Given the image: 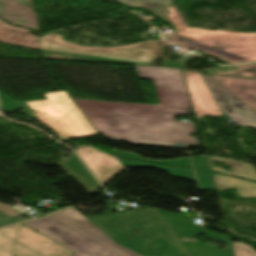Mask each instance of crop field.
<instances>
[{
  "instance_id": "obj_1",
  "label": "crop field",
  "mask_w": 256,
  "mask_h": 256,
  "mask_svg": "<svg viewBox=\"0 0 256 256\" xmlns=\"http://www.w3.org/2000/svg\"><path fill=\"white\" fill-rule=\"evenodd\" d=\"M137 76L153 80L160 105L74 99L104 137L136 144L175 147L197 145L193 125L174 122L173 115H189V95L182 71L135 66Z\"/></svg>"
},
{
  "instance_id": "obj_2",
  "label": "crop field",
  "mask_w": 256,
  "mask_h": 256,
  "mask_svg": "<svg viewBox=\"0 0 256 256\" xmlns=\"http://www.w3.org/2000/svg\"><path fill=\"white\" fill-rule=\"evenodd\" d=\"M165 12L178 33L167 40L183 49L194 48L233 64L256 61V33L206 31L187 28L174 6L151 10Z\"/></svg>"
},
{
  "instance_id": "obj_3",
  "label": "crop field",
  "mask_w": 256,
  "mask_h": 256,
  "mask_svg": "<svg viewBox=\"0 0 256 256\" xmlns=\"http://www.w3.org/2000/svg\"><path fill=\"white\" fill-rule=\"evenodd\" d=\"M44 94L47 100L17 104L27 116L51 127L62 141L97 134L66 91Z\"/></svg>"
},
{
  "instance_id": "obj_4",
  "label": "crop field",
  "mask_w": 256,
  "mask_h": 256,
  "mask_svg": "<svg viewBox=\"0 0 256 256\" xmlns=\"http://www.w3.org/2000/svg\"><path fill=\"white\" fill-rule=\"evenodd\" d=\"M61 34H47L39 39L42 51L88 55L87 61L150 65L163 47L162 40L114 48L76 46L62 40Z\"/></svg>"
},
{
  "instance_id": "obj_5",
  "label": "crop field",
  "mask_w": 256,
  "mask_h": 256,
  "mask_svg": "<svg viewBox=\"0 0 256 256\" xmlns=\"http://www.w3.org/2000/svg\"><path fill=\"white\" fill-rule=\"evenodd\" d=\"M26 224L76 251L73 256H119L49 217Z\"/></svg>"
},
{
  "instance_id": "obj_6",
  "label": "crop field",
  "mask_w": 256,
  "mask_h": 256,
  "mask_svg": "<svg viewBox=\"0 0 256 256\" xmlns=\"http://www.w3.org/2000/svg\"><path fill=\"white\" fill-rule=\"evenodd\" d=\"M177 238L181 241L182 238H193L203 228L190 223V220L176 214L167 213L163 210H157ZM199 234V233H198ZM202 234L208 236L209 239L225 244L224 250L217 249L216 246L206 244H195V242H182L184 247L191 256H234L228 237L212 234L203 231Z\"/></svg>"
},
{
  "instance_id": "obj_7",
  "label": "crop field",
  "mask_w": 256,
  "mask_h": 256,
  "mask_svg": "<svg viewBox=\"0 0 256 256\" xmlns=\"http://www.w3.org/2000/svg\"><path fill=\"white\" fill-rule=\"evenodd\" d=\"M221 111L239 125L256 128V114L209 75H203Z\"/></svg>"
},
{
  "instance_id": "obj_8",
  "label": "crop field",
  "mask_w": 256,
  "mask_h": 256,
  "mask_svg": "<svg viewBox=\"0 0 256 256\" xmlns=\"http://www.w3.org/2000/svg\"><path fill=\"white\" fill-rule=\"evenodd\" d=\"M182 71L196 118L202 119V116H224L200 74Z\"/></svg>"
},
{
  "instance_id": "obj_9",
  "label": "crop field",
  "mask_w": 256,
  "mask_h": 256,
  "mask_svg": "<svg viewBox=\"0 0 256 256\" xmlns=\"http://www.w3.org/2000/svg\"><path fill=\"white\" fill-rule=\"evenodd\" d=\"M49 217L59 221L60 223L70 227L71 229L81 233L82 235L118 253L121 256H138L114 244L108 237H106L102 232H100L96 227H94L82 215L72 208Z\"/></svg>"
},
{
  "instance_id": "obj_10",
  "label": "crop field",
  "mask_w": 256,
  "mask_h": 256,
  "mask_svg": "<svg viewBox=\"0 0 256 256\" xmlns=\"http://www.w3.org/2000/svg\"><path fill=\"white\" fill-rule=\"evenodd\" d=\"M76 152L94 172L102 184L110 180L122 167L117 159L94 148L84 146Z\"/></svg>"
},
{
  "instance_id": "obj_11",
  "label": "crop field",
  "mask_w": 256,
  "mask_h": 256,
  "mask_svg": "<svg viewBox=\"0 0 256 256\" xmlns=\"http://www.w3.org/2000/svg\"><path fill=\"white\" fill-rule=\"evenodd\" d=\"M0 233L41 256L54 242L22 224L1 229Z\"/></svg>"
},
{
  "instance_id": "obj_12",
  "label": "crop field",
  "mask_w": 256,
  "mask_h": 256,
  "mask_svg": "<svg viewBox=\"0 0 256 256\" xmlns=\"http://www.w3.org/2000/svg\"><path fill=\"white\" fill-rule=\"evenodd\" d=\"M256 112V80L210 75Z\"/></svg>"
},
{
  "instance_id": "obj_13",
  "label": "crop field",
  "mask_w": 256,
  "mask_h": 256,
  "mask_svg": "<svg viewBox=\"0 0 256 256\" xmlns=\"http://www.w3.org/2000/svg\"><path fill=\"white\" fill-rule=\"evenodd\" d=\"M73 252L57 243L45 252L43 256H71ZM0 256H39L27 248L0 234Z\"/></svg>"
},
{
  "instance_id": "obj_14",
  "label": "crop field",
  "mask_w": 256,
  "mask_h": 256,
  "mask_svg": "<svg viewBox=\"0 0 256 256\" xmlns=\"http://www.w3.org/2000/svg\"><path fill=\"white\" fill-rule=\"evenodd\" d=\"M0 41L13 45L40 49L38 37L31 35L29 30L8 25L1 20Z\"/></svg>"
},
{
  "instance_id": "obj_15",
  "label": "crop field",
  "mask_w": 256,
  "mask_h": 256,
  "mask_svg": "<svg viewBox=\"0 0 256 256\" xmlns=\"http://www.w3.org/2000/svg\"><path fill=\"white\" fill-rule=\"evenodd\" d=\"M217 192H223L228 188H235L239 197L256 198V183L240 180L233 177L211 173Z\"/></svg>"
},
{
  "instance_id": "obj_16",
  "label": "crop field",
  "mask_w": 256,
  "mask_h": 256,
  "mask_svg": "<svg viewBox=\"0 0 256 256\" xmlns=\"http://www.w3.org/2000/svg\"><path fill=\"white\" fill-rule=\"evenodd\" d=\"M72 178L76 179L81 183L91 194L99 187V183L94 179V177L89 173L85 166L80 162V160L73 155L68 160L66 164L61 166Z\"/></svg>"
},
{
  "instance_id": "obj_17",
  "label": "crop field",
  "mask_w": 256,
  "mask_h": 256,
  "mask_svg": "<svg viewBox=\"0 0 256 256\" xmlns=\"http://www.w3.org/2000/svg\"><path fill=\"white\" fill-rule=\"evenodd\" d=\"M207 157L211 170L256 182V171L252 165L227 158L214 157L209 155H207ZM212 160L223 162L227 166L231 167L230 173L221 168L212 166Z\"/></svg>"
},
{
  "instance_id": "obj_18",
  "label": "crop field",
  "mask_w": 256,
  "mask_h": 256,
  "mask_svg": "<svg viewBox=\"0 0 256 256\" xmlns=\"http://www.w3.org/2000/svg\"><path fill=\"white\" fill-rule=\"evenodd\" d=\"M118 160L122 164V166H128V167H156V168L168 171L171 176L178 177V178H184V179H188V180H191V181H195L194 174H193L192 170L157 166V165H152V164L133 162V161H127V160H120V159H118ZM171 171H173V172H171Z\"/></svg>"
},
{
  "instance_id": "obj_19",
  "label": "crop field",
  "mask_w": 256,
  "mask_h": 256,
  "mask_svg": "<svg viewBox=\"0 0 256 256\" xmlns=\"http://www.w3.org/2000/svg\"><path fill=\"white\" fill-rule=\"evenodd\" d=\"M112 151H113L114 155H116L117 157H121V158H128V159L141 160V161H147V162L164 164V165L192 168L190 161H189V157L173 159V160H166V161H154V160L142 158V157H140L132 152H128V151H121V150H115V149H112Z\"/></svg>"
},
{
  "instance_id": "obj_20",
  "label": "crop field",
  "mask_w": 256,
  "mask_h": 256,
  "mask_svg": "<svg viewBox=\"0 0 256 256\" xmlns=\"http://www.w3.org/2000/svg\"><path fill=\"white\" fill-rule=\"evenodd\" d=\"M127 6H138L147 10L164 7L172 4V0H118Z\"/></svg>"
},
{
  "instance_id": "obj_21",
  "label": "crop field",
  "mask_w": 256,
  "mask_h": 256,
  "mask_svg": "<svg viewBox=\"0 0 256 256\" xmlns=\"http://www.w3.org/2000/svg\"><path fill=\"white\" fill-rule=\"evenodd\" d=\"M235 67L237 69L236 71L220 72V73H215V74L256 78V64L238 65Z\"/></svg>"
},
{
  "instance_id": "obj_22",
  "label": "crop field",
  "mask_w": 256,
  "mask_h": 256,
  "mask_svg": "<svg viewBox=\"0 0 256 256\" xmlns=\"http://www.w3.org/2000/svg\"><path fill=\"white\" fill-rule=\"evenodd\" d=\"M200 190L216 191L210 172L194 170Z\"/></svg>"
},
{
  "instance_id": "obj_23",
  "label": "crop field",
  "mask_w": 256,
  "mask_h": 256,
  "mask_svg": "<svg viewBox=\"0 0 256 256\" xmlns=\"http://www.w3.org/2000/svg\"><path fill=\"white\" fill-rule=\"evenodd\" d=\"M235 256H256V251L244 243H231Z\"/></svg>"
},
{
  "instance_id": "obj_24",
  "label": "crop field",
  "mask_w": 256,
  "mask_h": 256,
  "mask_svg": "<svg viewBox=\"0 0 256 256\" xmlns=\"http://www.w3.org/2000/svg\"><path fill=\"white\" fill-rule=\"evenodd\" d=\"M44 59H54V60H75V61H86L87 56H76V55H66L58 53L43 52Z\"/></svg>"
},
{
  "instance_id": "obj_25",
  "label": "crop field",
  "mask_w": 256,
  "mask_h": 256,
  "mask_svg": "<svg viewBox=\"0 0 256 256\" xmlns=\"http://www.w3.org/2000/svg\"><path fill=\"white\" fill-rule=\"evenodd\" d=\"M0 110L5 112H12L18 108H20L17 104H15L13 101H11L9 98H7L5 95H3L0 92Z\"/></svg>"
},
{
  "instance_id": "obj_26",
  "label": "crop field",
  "mask_w": 256,
  "mask_h": 256,
  "mask_svg": "<svg viewBox=\"0 0 256 256\" xmlns=\"http://www.w3.org/2000/svg\"><path fill=\"white\" fill-rule=\"evenodd\" d=\"M193 167L197 169L210 170L207 162L206 155L191 157ZM202 164V166H200Z\"/></svg>"
},
{
  "instance_id": "obj_27",
  "label": "crop field",
  "mask_w": 256,
  "mask_h": 256,
  "mask_svg": "<svg viewBox=\"0 0 256 256\" xmlns=\"http://www.w3.org/2000/svg\"><path fill=\"white\" fill-rule=\"evenodd\" d=\"M0 211L9 215V216H11V217L23 214L22 212L21 213L18 212L17 210L12 208L11 206H7V205L1 204V203H0Z\"/></svg>"
},
{
  "instance_id": "obj_28",
  "label": "crop field",
  "mask_w": 256,
  "mask_h": 256,
  "mask_svg": "<svg viewBox=\"0 0 256 256\" xmlns=\"http://www.w3.org/2000/svg\"><path fill=\"white\" fill-rule=\"evenodd\" d=\"M162 66H174V67L181 68L182 67V63L174 62V61H163Z\"/></svg>"
},
{
  "instance_id": "obj_29",
  "label": "crop field",
  "mask_w": 256,
  "mask_h": 256,
  "mask_svg": "<svg viewBox=\"0 0 256 256\" xmlns=\"http://www.w3.org/2000/svg\"><path fill=\"white\" fill-rule=\"evenodd\" d=\"M156 15L158 17H160L162 20L170 22L169 19L167 18V16L165 15V13H163V14H156Z\"/></svg>"
}]
</instances>
